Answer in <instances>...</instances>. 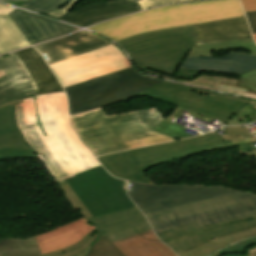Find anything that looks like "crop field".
I'll list each match as a JSON object with an SVG mask.
<instances>
[{"label":"crop field","mask_w":256,"mask_h":256,"mask_svg":"<svg viewBox=\"0 0 256 256\" xmlns=\"http://www.w3.org/2000/svg\"><path fill=\"white\" fill-rule=\"evenodd\" d=\"M249 256H256V252H252L248 254Z\"/></svg>","instance_id":"89e229c0"},{"label":"crop field","mask_w":256,"mask_h":256,"mask_svg":"<svg viewBox=\"0 0 256 256\" xmlns=\"http://www.w3.org/2000/svg\"><path fill=\"white\" fill-rule=\"evenodd\" d=\"M252 119L253 121L256 120V101H252L250 104L246 105L226 123L228 125H243L247 122H251L250 120Z\"/></svg>","instance_id":"120bbe31"},{"label":"crop field","mask_w":256,"mask_h":256,"mask_svg":"<svg viewBox=\"0 0 256 256\" xmlns=\"http://www.w3.org/2000/svg\"><path fill=\"white\" fill-rule=\"evenodd\" d=\"M252 251H256V248L249 249V252H252Z\"/></svg>","instance_id":"dbb93151"},{"label":"crop field","mask_w":256,"mask_h":256,"mask_svg":"<svg viewBox=\"0 0 256 256\" xmlns=\"http://www.w3.org/2000/svg\"><path fill=\"white\" fill-rule=\"evenodd\" d=\"M92 216L133 207L126 181L111 177L101 166L65 178Z\"/></svg>","instance_id":"5a996713"},{"label":"crop field","mask_w":256,"mask_h":256,"mask_svg":"<svg viewBox=\"0 0 256 256\" xmlns=\"http://www.w3.org/2000/svg\"><path fill=\"white\" fill-rule=\"evenodd\" d=\"M13 156H37L17 128L14 102L0 107V159Z\"/></svg>","instance_id":"bc2a9ffb"},{"label":"crop field","mask_w":256,"mask_h":256,"mask_svg":"<svg viewBox=\"0 0 256 256\" xmlns=\"http://www.w3.org/2000/svg\"><path fill=\"white\" fill-rule=\"evenodd\" d=\"M225 147L221 138L213 132L195 138L122 151L97 159L117 178L154 184L143 172L149 167Z\"/></svg>","instance_id":"f4fd0767"},{"label":"crop field","mask_w":256,"mask_h":256,"mask_svg":"<svg viewBox=\"0 0 256 256\" xmlns=\"http://www.w3.org/2000/svg\"><path fill=\"white\" fill-rule=\"evenodd\" d=\"M70 0H28L21 8L47 15Z\"/></svg>","instance_id":"bd1437ed"},{"label":"crop field","mask_w":256,"mask_h":256,"mask_svg":"<svg viewBox=\"0 0 256 256\" xmlns=\"http://www.w3.org/2000/svg\"><path fill=\"white\" fill-rule=\"evenodd\" d=\"M86 220L111 242L151 229L136 207L86 218Z\"/></svg>","instance_id":"22f410ed"},{"label":"crop field","mask_w":256,"mask_h":256,"mask_svg":"<svg viewBox=\"0 0 256 256\" xmlns=\"http://www.w3.org/2000/svg\"><path fill=\"white\" fill-rule=\"evenodd\" d=\"M93 227L83 217L62 225L58 228L36 235L42 254L67 248L81 241Z\"/></svg>","instance_id":"4a817a6b"},{"label":"crop field","mask_w":256,"mask_h":256,"mask_svg":"<svg viewBox=\"0 0 256 256\" xmlns=\"http://www.w3.org/2000/svg\"><path fill=\"white\" fill-rule=\"evenodd\" d=\"M193 128H195V127H193ZM195 129H197V128H195ZM203 129H204V128H203ZM197 130H199V129H197ZM199 131H201V130H199ZM201 132H203V131H201ZM205 132H207V130H206ZM205 132H203V133H205Z\"/></svg>","instance_id":"0fb4a251"},{"label":"crop field","mask_w":256,"mask_h":256,"mask_svg":"<svg viewBox=\"0 0 256 256\" xmlns=\"http://www.w3.org/2000/svg\"><path fill=\"white\" fill-rule=\"evenodd\" d=\"M126 64L129 62L112 45L50 65V68L63 84Z\"/></svg>","instance_id":"d1516ede"},{"label":"crop field","mask_w":256,"mask_h":256,"mask_svg":"<svg viewBox=\"0 0 256 256\" xmlns=\"http://www.w3.org/2000/svg\"><path fill=\"white\" fill-rule=\"evenodd\" d=\"M16 119L19 129L25 137L27 143L37 153V155L43 160L55 179H59L63 176H67L66 172L48 150L43 140L39 136L34 125L25 124L24 116V104L23 100L15 102Z\"/></svg>","instance_id":"00972430"},{"label":"crop field","mask_w":256,"mask_h":256,"mask_svg":"<svg viewBox=\"0 0 256 256\" xmlns=\"http://www.w3.org/2000/svg\"><path fill=\"white\" fill-rule=\"evenodd\" d=\"M13 1H26V0H13Z\"/></svg>","instance_id":"9d1cf04e"},{"label":"crop field","mask_w":256,"mask_h":256,"mask_svg":"<svg viewBox=\"0 0 256 256\" xmlns=\"http://www.w3.org/2000/svg\"><path fill=\"white\" fill-rule=\"evenodd\" d=\"M243 256H248V255L246 254V255H243Z\"/></svg>","instance_id":"0765c3eb"},{"label":"crop field","mask_w":256,"mask_h":256,"mask_svg":"<svg viewBox=\"0 0 256 256\" xmlns=\"http://www.w3.org/2000/svg\"><path fill=\"white\" fill-rule=\"evenodd\" d=\"M7 15L13 20L30 45L76 30L68 25L18 9Z\"/></svg>","instance_id":"733c2abd"},{"label":"crop field","mask_w":256,"mask_h":256,"mask_svg":"<svg viewBox=\"0 0 256 256\" xmlns=\"http://www.w3.org/2000/svg\"><path fill=\"white\" fill-rule=\"evenodd\" d=\"M138 10L143 9L136 0H114L77 8L58 19L84 27Z\"/></svg>","instance_id":"d9b57169"},{"label":"crop field","mask_w":256,"mask_h":256,"mask_svg":"<svg viewBox=\"0 0 256 256\" xmlns=\"http://www.w3.org/2000/svg\"><path fill=\"white\" fill-rule=\"evenodd\" d=\"M244 15L239 0H212L156 8L88 28L116 42L137 33Z\"/></svg>","instance_id":"ac0d7876"},{"label":"crop field","mask_w":256,"mask_h":256,"mask_svg":"<svg viewBox=\"0 0 256 256\" xmlns=\"http://www.w3.org/2000/svg\"><path fill=\"white\" fill-rule=\"evenodd\" d=\"M40 119L48 137H44L36 120L32 97L24 100L26 124L35 123L45 144L68 175L99 165L70 128L64 92L37 96Z\"/></svg>","instance_id":"34b2d1b8"},{"label":"crop field","mask_w":256,"mask_h":256,"mask_svg":"<svg viewBox=\"0 0 256 256\" xmlns=\"http://www.w3.org/2000/svg\"><path fill=\"white\" fill-rule=\"evenodd\" d=\"M230 191L234 190L212 186H157L128 182L127 194L136 206L145 212Z\"/></svg>","instance_id":"3316defc"},{"label":"crop field","mask_w":256,"mask_h":256,"mask_svg":"<svg viewBox=\"0 0 256 256\" xmlns=\"http://www.w3.org/2000/svg\"><path fill=\"white\" fill-rule=\"evenodd\" d=\"M162 119L156 107L109 117L99 108L70 116V124L82 143L95 156H101L173 141L152 131Z\"/></svg>","instance_id":"8a807250"},{"label":"crop field","mask_w":256,"mask_h":256,"mask_svg":"<svg viewBox=\"0 0 256 256\" xmlns=\"http://www.w3.org/2000/svg\"><path fill=\"white\" fill-rule=\"evenodd\" d=\"M116 43L140 69L168 79L196 44L190 25L145 32Z\"/></svg>","instance_id":"e52e79f7"},{"label":"crop field","mask_w":256,"mask_h":256,"mask_svg":"<svg viewBox=\"0 0 256 256\" xmlns=\"http://www.w3.org/2000/svg\"><path fill=\"white\" fill-rule=\"evenodd\" d=\"M254 36V39H255V42H256V34L255 35H253Z\"/></svg>","instance_id":"447ae74e"},{"label":"crop field","mask_w":256,"mask_h":256,"mask_svg":"<svg viewBox=\"0 0 256 256\" xmlns=\"http://www.w3.org/2000/svg\"><path fill=\"white\" fill-rule=\"evenodd\" d=\"M100 234L101 233L97 229H95L78 244L61 251L41 256H85L90 246L93 244V242L98 238Z\"/></svg>","instance_id":"d3111659"},{"label":"crop field","mask_w":256,"mask_h":256,"mask_svg":"<svg viewBox=\"0 0 256 256\" xmlns=\"http://www.w3.org/2000/svg\"><path fill=\"white\" fill-rule=\"evenodd\" d=\"M237 86L248 88L247 92L256 94V71H249L240 75Z\"/></svg>","instance_id":"028f5c9d"},{"label":"crop field","mask_w":256,"mask_h":256,"mask_svg":"<svg viewBox=\"0 0 256 256\" xmlns=\"http://www.w3.org/2000/svg\"><path fill=\"white\" fill-rule=\"evenodd\" d=\"M226 133L228 134H234V135H240V136H248V137H254L252 136L246 127H227L225 128Z\"/></svg>","instance_id":"c035e120"},{"label":"crop field","mask_w":256,"mask_h":256,"mask_svg":"<svg viewBox=\"0 0 256 256\" xmlns=\"http://www.w3.org/2000/svg\"><path fill=\"white\" fill-rule=\"evenodd\" d=\"M227 256H241V255H227Z\"/></svg>","instance_id":"1d79db26"},{"label":"crop field","mask_w":256,"mask_h":256,"mask_svg":"<svg viewBox=\"0 0 256 256\" xmlns=\"http://www.w3.org/2000/svg\"><path fill=\"white\" fill-rule=\"evenodd\" d=\"M228 48H246V49L252 50L254 52L251 54H247L246 52H232V53L256 56V44L254 43L252 38H249V39H241V40L195 45V46H192L191 50L189 51V53L187 54L186 57L214 56L211 54V51L226 50ZM185 58H184V60H185ZM184 60H183V62H184ZM182 63H181V65H182ZM181 65H180V67H181Z\"/></svg>","instance_id":"730fd06b"},{"label":"crop field","mask_w":256,"mask_h":256,"mask_svg":"<svg viewBox=\"0 0 256 256\" xmlns=\"http://www.w3.org/2000/svg\"><path fill=\"white\" fill-rule=\"evenodd\" d=\"M183 1H192V0H142V1H139V3L143 7V9H147L153 6H159L167 3H178Z\"/></svg>","instance_id":"0bd39190"},{"label":"crop field","mask_w":256,"mask_h":256,"mask_svg":"<svg viewBox=\"0 0 256 256\" xmlns=\"http://www.w3.org/2000/svg\"><path fill=\"white\" fill-rule=\"evenodd\" d=\"M245 11L256 10V0H241Z\"/></svg>","instance_id":"5d738f31"},{"label":"crop field","mask_w":256,"mask_h":256,"mask_svg":"<svg viewBox=\"0 0 256 256\" xmlns=\"http://www.w3.org/2000/svg\"><path fill=\"white\" fill-rule=\"evenodd\" d=\"M33 99H34V102H35L38 124H39V126H40L42 132L44 133V135L47 136L46 133H45V130H44L43 126H42V123H41V121H40V119H39V113H38V107H37L36 96L33 97Z\"/></svg>","instance_id":"d23c7cc5"},{"label":"crop field","mask_w":256,"mask_h":256,"mask_svg":"<svg viewBox=\"0 0 256 256\" xmlns=\"http://www.w3.org/2000/svg\"><path fill=\"white\" fill-rule=\"evenodd\" d=\"M1 69L7 75L0 78V106L38 95L30 75L15 53L0 57Z\"/></svg>","instance_id":"cbeb9de0"},{"label":"crop field","mask_w":256,"mask_h":256,"mask_svg":"<svg viewBox=\"0 0 256 256\" xmlns=\"http://www.w3.org/2000/svg\"><path fill=\"white\" fill-rule=\"evenodd\" d=\"M138 1V0H137Z\"/></svg>","instance_id":"db79e9e6"},{"label":"crop field","mask_w":256,"mask_h":256,"mask_svg":"<svg viewBox=\"0 0 256 256\" xmlns=\"http://www.w3.org/2000/svg\"><path fill=\"white\" fill-rule=\"evenodd\" d=\"M256 225V215L199 227L196 222L175 228L157 237L176 254L212 240Z\"/></svg>","instance_id":"28ad6ade"},{"label":"crop field","mask_w":256,"mask_h":256,"mask_svg":"<svg viewBox=\"0 0 256 256\" xmlns=\"http://www.w3.org/2000/svg\"><path fill=\"white\" fill-rule=\"evenodd\" d=\"M145 97L177 106L155 128V130L172 138L180 139L193 136L184 132L183 126L170 122L174 117L180 118L181 112L187 110L188 114L202 120L204 116L216 118L226 122L234 114L251 102L241 98L217 94L204 90L194 89L181 85L162 82L144 92ZM180 97V98H178Z\"/></svg>","instance_id":"412701ff"},{"label":"crop field","mask_w":256,"mask_h":256,"mask_svg":"<svg viewBox=\"0 0 256 256\" xmlns=\"http://www.w3.org/2000/svg\"><path fill=\"white\" fill-rule=\"evenodd\" d=\"M9 11H11V10H8V9H0V13H2V14H5V13H7V12H9Z\"/></svg>","instance_id":"25e5ab78"},{"label":"crop field","mask_w":256,"mask_h":256,"mask_svg":"<svg viewBox=\"0 0 256 256\" xmlns=\"http://www.w3.org/2000/svg\"><path fill=\"white\" fill-rule=\"evenodd\" d=\"M0 8H9V9H14V8L7 7V6L1 5V4H0Z\"/></svg>","instance_id":"73cf0c24"},{"label":"crop field","mask_w":256,"mask_h":256,"mask_svg":"<svg viewBox=\"0 0 256 256\" xmlns=\"http://www.w3.org/2000/svg\"><path fill=\"white\" fill-rule=\"evenodd\" d=\"M252 33H256V11L245 12Z\"/></svg>","instance_id":"b54c1fbb"},{"label":"crop field","mask_w":256,"mask_h":256,"mask_svg":"<svg viewBox=\"0 0 256 256\" xmlns=\"http://www.w3.org/2000/svg\"><path fill=\"white\" fill-rule=\"evenodd\" d=\"M76 2H77L76 0H72L69 3H67L66 5H64L63 7L59 8L57 11H55L47 16L57 18L58 16L66 13L68 10H70L71 7L76 4Z\"/></svg>","instance_id":"c21b1889"},{"label":"crop field","mask_w":256,"mask_h":256,"mask_svg":"<svg viewBox=\"0 0 256 256\" xmlns=\"http://www.w3.org/2000/svg\"><path fill=\"white\" fill-rule=\"evenodd\" d=\"M256 234V226L236 232L234 234L218 237L212 241L199 245L189 251L178 254V256H207L208 254L217 251L229 244L235 243L243 238L250 237Z\"/></svg>","instance_id":"4177f3b9"},{"label":"crop field","mask_w":256,"mask_h":256,"mask_svg":"<svg viewBox=\"0 0 256 256\" xmlns=\"http://www.w3.org/2000/svg\"><path fill=\"white\" fill-rule=\"evenodd\" d=\"M172 80L179 81V82H185V83H189V84L216 90L220 82L234 85L237 78L209 76V75L200 74L193 80L179 79V78H175V77H172Z\"/></svg>","instance_id":"750c4746"},{"label":"crop field","mask_w":256,"mask_h":256,"mask_svg":"<svg viewBox=\"0 0 256 256\" xmlns=\"http://www.w3.org/2000/svg\"><path fill=\"white\" fill-rule=\"evenodd\" d=\"M57 184L63 190L67 199L79 214H81L84 218L91 216L87 209L84 207V205L81 203V201L77 198V196L64 181V179L57 181Z\"/></svg>","instance_id":"d32e631a"},{"label":"crop field","mask_w":256,"mask_h":256,"mask_svg":"<svg viewBox=\"0 0 256 256\" xmlns=\"http://www.w3.org/2000/svg\"><path fill=\"white\" fill-rule=\"evenodd\" d=\"M125 256H175L152 230L113 243Z\"/></svg>","instance_id":"a9b5d70f"},{"label":"crop field","mask_w":256,"mask_h":256,"mask_svg":"<svg viewBox=\"0 0 256 256\" xmlns=\"http://www.w3.org/2000/svg\"><path fill=\"white\" fill-rule=\"evenodd\" d=\"M256 246V237L249 238L247 240L240 241L234 245L228 246L221 251L217 252L220 255L226 254H245L248 248Z\"/></svg>","instance_id":"5866460e"},{"label":"crop field","mask_w":256,"mask_h":256,"mask_svg":"<svg viewBox=\"0 0 256 256\" xmlns=\"http://www.w3.org/2000/svg\"><path fill=\"white\" fill-rule=\"evenodd\" d=\"M191 26L197 44L252 37L244 16Z\"/></svg>","instance_id":"214f88e0"},{"label":"crop field","mask_w":256,"mask_h":256,"mask_svg":"<svg viewBox=\"0 0 256 256\" xmlns=\"http://www.w3.org/2000/svg\"><path fill=\"white\" fill-rule=\"evenodd\" d=\"M40 254L35 236L29 239L5 238L0 241V255L37 256Z\"/></svg>","instance_id":"ae1a2a85"},{"label":"crop field","mask_w":256,"mask_h":256,"mask_svg":"<svg viewBox=\"0 0 256 256\" xmlns=\"http://www.w3.org/2000/svg\"><path fill=\"white\" fill-rule=\"evenodd\" d=\"M144 214L158 235L192 221L204 226L256 214V195L234 191Z\"/></svg>","instance_id":"dd49c442"},{"label":"crop field","mask_w":256,"mask_h":256,"mask_svg":"<svg viewBox=\"0 0 256 256\" xmlns=\"http://www.w3.org/2000/svg\"><path fill=\"white\" fill-rule=\"evenodd\" d=\"M29 46L7 15H0V54Z\"/></svg>","instance_id":"eef30255"},{"label":"crop field","mask_w":256,"mask_h":256,"mask_svg":"<svg viewBox=\"0 0 256 256\" xmlns=\"http://www.w3.org/2000/svg\"><path fill=\"white\" fill-rule=\"evenodd\" d=\"M15 53L31 75L40 95L64 91L41 55L33 47Z\"/></svg>","instance_id":"dafd665d"},{"label":"crop field","mask_w":256,"mask_h":256,"mask_svg":"<svg viewBox=\"0 0 256 256\" xmlns=\"http://www.w3.org/2000/svg\"><path fill=\"white\" fill-rule=\"evenodd\" d=\"M86 256H124L108 239L102 234L91 246Z\"/></svg>","instance_id":"1d83c4d3"},{"label":"crop field","mask_w":256,"mask_h":256,"mask_svg":"<svg viewBox=\"0 0 256 256\" xmlns=\"http://www.w3.org/2000/svg\"><path fill=\"white\" fill-rule=\"evenodd\" d=\"M199 72L200 71L179 68L175 74V77L193 79L198 75Z\"/></svg>","instance_id":"b80d0937"},{"label":"crop field","mask_w":256,"mask_h":256,"mask_svg":"<svg viewBox=\"0 0 256 256\" xmlns=\"http://www.w3.org/2000/svg\"><path fill=\"white\" fill-rule=\"evenodd\" d=\"M160 82L162 80L138 73L129 64L62 86L68 96L69 112L72 115L108 105Z\"/></svg>","instance_id":"d8731c3e"},{"label":"crop field","mask_w":256,"mask_h":256,"mask_svg":"<svg viewBox=\"0 0 256 256\" xmlns=\"http://www.w3.org/2000/svg\"><path fill=\"white\" fill-rule=\"evenodd\" d=\"M3 75H5V73H4L3 70H1V71H0V77L3 76Z\"/></svg>","instance_id":"1f2cbd36"},{"label":"crop field","mask_w":256,"mask_h":256,"mask_svg":"<svg viewBox=\"0 0 256 256\" xmlns=\"http://www.w3.org/2000/svg\"><path fill=\"white\" fill-rule=\"evenodd\" d=\"M182 67L207 72L240 75L251 69L256 70V57L228 53L223 57L186 58Z\"/></svg>","instance_id":"92a150f3"},{"label":"crop field","mask_w":256,"mask_h":256,"mask_svg":"<svg viewBox=\"0 0 256 256\" xmlns=\"http://www.w3.org/2000/svg\"><path fill=\"white\" fill-rule=\"evenodd\" d=\"M138 96H142V94H141V93L135 94V95H133V96H131V97H128V98H126V99H124V100L131 99V98L138 97ZM121 101H123V100H121Z\"/></svg>","instance_id":"425ffa30"},{"label":"crop field","mask_w":256,"mask_h":256,"mask_svg":"<svg viewBox=\"0 0 256 256\" xmlns=\"http://www.w3.org/2000/svg\"><path fill=\"white\" fill-rule=\"evenodd\" d=\"M218 90L223 91V92L237 94V95L247 96V97H251V98L256 99V95L246 93L245 88H241V87H237V86H232V85H227V84L221 83Z\"/></svg>","instance_id":"e1f06a70"},{"label":"crop field","mask_w":256,"mask_h":256,"mask_svg":"<svg viewBox=\"0 0 256 256\" xmlns=\"http://www.w3.org/2000/svg\"><path fill=\"white\" fill-rule=\"evenodd\" d=\"M112 45L93 34L77 32L67 37L35 46L48 65Z\"/></svg>","instance_id":"5142ce71"},{"label":"crop field","mask_w":256,"mask_h":256,"mask_svg":"<svg viewBox=\"0 0 256 256\" xmlns=\"http://www.w3.org/2000/svg\"><path fill=\"white\" fill-rule=\"evenodd\" d=\"M238 148L241 153L246 154V155L256 159V147H254L253 144L240 146Z\"/></svg>","instance_id":"03da06ac"}]
</instances>
